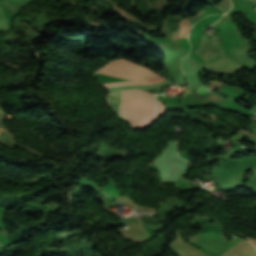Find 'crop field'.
I'll return each instance as SVG.
<instances>
[{
  "label": "crop field",
  "mask_w": 256,
  "mask_h": 256,
  "mask_svg": "<svg viewBox=\"0 0 256 256\" xmlns=\"http://www.w3.org/2000/svg\"><path fill=\"white\" fill-rule=\"evenodd\" d=\"M113 111L130 123L132 129L146 128L151 125L157 116L154 115V96L139 90V115H138V90L119 91L109 93L106 97Z\"/></svg>",
  "instance_id": "crop-field-1"
},
{
  "label": "crop field",
  "mask_w": 256,
  "mask_h": 256,
  "mask_svg": "<svg viewBox=\"0 0 256 256\" xmlns=\"http://www.w3.org/2000/svg\"><path fill=\"white\" fill-rule=\"evenodd\" d=\"M98 72L105 73L112 76L124 77L129 79H151L155 77H159L154 72L133 64L131 62L125 61L123 59L113 61L111 63L106 64L103 68L98 69ZM97 72V73H98ZM166 82L168 85L172 84L165 80L164 78H156L152 80H144V81H121L115 83L104 84L106 88L118 85H129V84H153L158 82Z\"/></svg>",
  "instance_id": "crop-field-2"
},
{
  "label": "crop field",
  "mask_w": 256,
  "mask_h": 256,
  "mask_svg": "<svg viewBox=\"0 0 256 256\" xmlns=\"http://www.w3.org/2000/svg\"><path fill=\"white\" fill-rule=\"evenodd\" d=\"M194 53L199 55L206 62H208L218 54L224 57L227 56V54L221 48L218 42H214L204 36H202L201 43Z\"/></svg>",
  "instance_id": "crop-field-3"
},
{
  "label": "crop field",
  "mask_w": 256,
  "mask_h": 256,
  "mask_svg": "<svg viewBox=\"0 0 256 256\" xmlns=\"http://www.w3.org/2000/svg\"><path fill=\"white\" fill-rule=\"evenodd\" d=\"M156 114L158 116L165 114L164 105L160 101H156Z\"/></svg>",
  "instance_id": "crop-field-4"
},
{
  "label": "crop field",
  "mask_w": 256,
  "mask_h": 256,
  "mask_svg": "<svg viewBox=\"0 0 256 256\" xmlns=\"http://www.w3.org/2000/svg\"><path fill=\"white\" fill-rule=\"evenodd\" d=\"M256 9V8H255Z\"/></svg>",
  "instance_id": "crop-field-5"
}]
</instances>
